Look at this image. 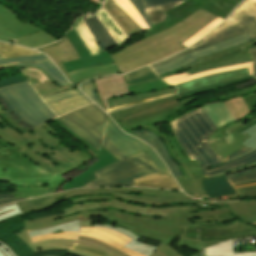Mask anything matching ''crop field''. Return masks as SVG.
<instances>
[{
    "label": "crop field",
    "instance_id": "8a807250",
    "mask_svg": "<svg viewBox=\"0 0 256 256\" xmlns=\"http://www.w3.org/2000/svg\"><path fill=\"white\" fill-rule=\"evenodd\" d=\"M102 216L105 220L128 228L142 238L202 251L227 239L256 236V228L236 220L227 206L169 214V218L139 217L112 208Z\"/></svg>",
    "mask_w": 256,
    "mask_h": 256
},
{
    "label": "crop field",
    "instance_id": "ac0d7876",
    "mask_svg": "<svg viewBox=\"0 0 256 256\" xmlns=\"http://www.w3.org/2000/svg\"><path fill=\"white\" fill-rule=\"evenodd\" d=\"M63 199L72 206L60 210L66 216L80 211L107 210L112 207L140 216L168 217V213L189 211V205L209 202L196 199H171L109 191V189H77L35 198L18 204L24 213L47 209Z\"/></svg>",
    "mask_w": 256,
    "mask_h": 256
},
{
    "label": "crop field",
    "instance_id": "34b2d1b8",
    "mask_svg": "<svg viewBox=\"0 0 256 256\" xmlns=\"http://www.w3.org/2000/svg\"><path fill=\"white\" fill-rule=\"evenodd\" d=\"M107 117L102 109L92 104L57 118L97 150L101 145L120 160L94 172L100 177L83 187L133 186V179L160 172L146 153L127 158L95 128Z\"/></svg>",
    "mask_w": 256,
    "mask_h": 256
},
{
    "label": "crop field",
    "instance_id": "412701ff",
    "mask_svg": "<svg viewBox=\"0 0 256 256\" xmlns=\"http://www.w3.org/2000/svg\"><path fill=\"white\" fill-rule=\"evenodd\" d=\"M175 139L190 161L197 160L205 179L242 171L256 166V150L235 160L223 163L248 151L246 147L220 159L209 144L207 137L217 130L201 108L175 118L170 123Z\"/></svg>",
    "mask_w": 256,
    "mask_h": 256
},
{
    "label": "crop field",
    "instance_id": "f4fd0767",
    "mask_svg": "<svg viewBox=\"0 0 256 256\" xmlns=\"http://www.w3.org/2000/svg\"><path fill=\"white\" fill-rule=\"evenodd\" d=\"M194 99L196 98L193 96L178 101L177 96L174 95L113 112L109 115L128 131L137 128H147L160 135L165 141L171 155L179 163L185 174V177L176 180L185 193L199 198L206 194L200 182V180L204 179V176L197 161L190 162L176 144L174 136L163 135L155 124L166 121L172 114Z\"/></svg>",
    "mask_w": 256,
    "mask_h": 256
},
{
    "label": "crop field",
    "instance_id": "dd49c442",
    "mask_svg": "<svg viewBox=\"0 0 256 256\" xmlns=\"http://www.w3.org/2000/svg\"><path fill=\"white\" fill-rule=\"evenodd\" d=\"M214 18L216 16L200 9L174 27L131 44L111 56L122 74L149 65L185 49L181 42Z\"/></svg>",
    "mask_w": 256,
    "mask_h": 256
},
{
    "label": "crop field",
    "instance_id": "e52e79f7",
    "mask_svg": "<svg viewBox=\"0 0 256 256\" xmlns=\"http://www.w3.org/2000/svg\"><path fill=\"white\" fill-rule=\"evenodd\" d=\"M0 104V112H3ZM48 123L39 126L33 132L23 135L8 126L0 117V138L17 146L23 147L20 153L49 171L61 175L80 166L85 160L72 153L54 136L58 135Z\"/></svg>",
    "mask_w": 256,
    "mask_h": 256
},
{
    "label": "crop field",
    "instance_id": "d8731c3e",
    "mask_svg": "<svg viewBox=\"0 0 256 256\" xmlns=\"http://www.w3.org/2000/svg\"><path fill=\"white\" fill-rule=\"evenodd\" d=\"M247 32L251 39L256 38V0H244L219 27L194 44L192 47L171 56L159 63L150 65L151 68L180 57L203 47L221 42Z\"/></svg>",
    "mask_w": 256,
    "mask_h": 256
},
{
    "label": "crop field",
    "instance_id": "5a996713",
    "mask_svg": "<svg viewBox=\"0 0 256 256\" xmlns=\"http://www.w3.org/2000/svg\"><path fill=\"white\" fill-rule=\"evenodd\" d=\"M104 213H107V211L81 212V213L73 214L66 217H64L62 214H57V215L48 216V217L39 218V219L25 220L24 223L26 228H24L22 232L15 233V235L19 239H21L23 242H25L29 246V248L33 251V253L45 251V250L65 249V250H68V253L74 254L77 256H91L86 253L70 249L74 243H77V244L89 246L97 250L103 251L105 253H108L110 254L109 256H118L94 244L78 242V241L49 240V241L32 244L27 233V231L56 226V225L72 222L77 219L80 220V227H92L90 216H93V214H104Z\"/></svg>",
    "mask_w": 256,
    "mask_h": 256
},
{
    "label": "crop field",
    "instance_id": "3316defc",
    "mask_svg": "<svg viewBox=\"0 0 256 256\" xmlns=\"http://www.w3.org/2000/svg\"><path fill=\"white\" fill-rule=\"evenodd\" d=\"M0 98L23 123L33 129L57 117L28 83L0 89Z\"/></svg>",
    "mask_w": 256,
    "mask_h": 256
},
{
    "label": "crop field",
    "instance_id": "28ad6ade",
    "mask_svg": "<svg viewBox=\"0 0 256 256\" xmlns=\"http://www.w3.org/2000/svg\"><path fill=\"white\" fill-rule=\"evenodd\" d=\"M17 14L0 5V40H13L14 43L29 48L57 41L32 23L22 22Z\"/></svg>",
    "mask_w": 256,
    "mask_h": 256
},
{
    "label": "crop field",
    "instance_id": "d1516ede",
    "mask_svg": "<svg viewBox=\"0 0 256 256\" xmlns=\"http://www.w3.org/2000/svg\"><path fill=\"white\" fill-rule=\"evenodd\" d=\"M256 123V117L249 115L248 117L235 122L231 125L223 127L208 137V143L217 154L218 157H223L241 147L240 143L247 139L249 136L240 135L247 127Z\"/></svg>",
    "mask_w": 256,
    "mask_h": 256
},
{
    "label": "crop field",
    "instance_id": "22f410ed",
    "mask_svg": "<svg viewBox=\"0 0 256 256\" xmlns=\"http://www.w3.org/2000/svg\"><path fill=\"white\" fill-rule=\"evenodd\" d=\"M97 129L128 157L146 152L155 162L161 172L171 176L165 164L158 158L150 146L123 133L110 118L108 119L107 123L97 127Z\"/></svg>",
    "mask_w": 256,
    "mask_h": 256
},
{
    "label": "crop field",
    "instance_id": "cbeb9de0",
    "mask_svg": "<svg viewBox=\"0 0 256 256\" xmlns=\"http://www.w3.org/2000/svg\"><path fill=\"white\" fill-rule=\"evenodd\" d=\"M256 44V39L251 42L244 43L234 48L206 56L198 59L199 61L189 70L190 75L204 72L211 69L232 66L244 62L251 61V57L247 47Z\"/></svg>",
    "mask_w": 256,
    "mask_h": 256
},
{
    "label": "crop field",
    "instance_id": "5142ce71",
    "mask_svg": "<svg viewBox=\"0 0 256 256\" xmlns=\"http://www.w3.org/2000/svg\"><path fill=\"white\" fill-rule=\"evenodd\" d=\"M78 235L93 237L97 240H100L106 244H109L127 253L130 256H143L141 254H138L132 250H129L123 247L127 242H129L132 239L118 232L108 230V229H102V228H80V233L63 232V233H57V234H48L40 237H34L32 238V240L33 242H37L45 239H51V238H65V239L77 240Z\"/></svg>",
    "mask_w": 256,
    "mask_h": 256
},
{
    "label": "crop field",
    "instance_id": "d9b57169",
    "mask_svg": "<svg viewBox=\"0 0 256 256\" xmlns=\"http://www.w3.org/2000/svg\"><path fill=\"white\" fill-rule=\"evenodd\" d=\"M200 8L223 19H225L229 15L208 0H186L185 3L166 12V14L170 17L168 20L151 29L153 32L145 34L143 36L146 38L148 36L166 30L177 24L178 22L182 21L186 17L190 16Z\"/></svg>",
    "mask_w": 256,
    "mask_h": 256
},
{
    "label": "crop field",
    "instance_id": "733c2abd",
    "mask_svg": "<svg viewBox=\"0 0 256 256\" xmlns=\"http://www.w3.org/2000/svg\"><path fill=\"white\" fill-rule=\"evenodd\" d=\"M247 41H251V39L247 35V33H245V34L237 36L235 38H232V39L223 41L221 43L206 47L204 49L189 53L185 56H182L180 58H177V59L167 62L165 64L159 65V66L153 68V70L155 71V73L157 75L165 74L172 70H176V69L184 67L190 63H193V62L197 61L196 59H198L200 57L231 48L233 46L239 45V44L247 42Z\"/></svg>",
    "mask_w": 256,
    "mask_h": 256
},
{
    "label": "crop field",
    "instance_id": "4a817a6b",
    "mask_svg": "<svg viewBox=\"0 0 256 256\" xmlns=\"http://www.w3.org/2000/svg\"><path fill=\"white\" fill-rule=\"evenodd\" d=\"M10 66H16L18 68L37 67L59 87L69 84L60 71L44 54L7 60H3L0 55V68Z\"/></svg>",
    "mask_w": 256,
    "mask_h": 256
},
{
    "label": "crop field",
    "instance_id": "bc2a9ffb",
    "mask_svg": "<svg viewBox=\"0 0 256 256\" xmlns=\"http://www.w3.org/2000/svg\"><path fill=\"white\" fill-rule=\"evenodd\" d=\"M67 39L70 41L78 55L81 59L63 63L64 68L66 71L82 69L88 66L94 65H103L113 63L114 60L111 58L108 52L99 54L96 56L91 57L87 49L85 48L84 44L82 43L81 39L79 38L78 34L74 30L73 26L65 35Z\"/></svg>",
    "mask_w": 256,
    "mask_h": 256
},
{
    "label": "crop field",
    "instance_id": "214f88e0",
    "mask_svg": "<svg viewBox=\"0 0 256 256\" xmlns=\"http://www.w3.org/2000/svg\"><path fill=\"white\" fill-rule=\"evenodd\" d=\"M57 115H61L92 103L77 89L42 97Z\"/></svg>",
    "mask_w": 256,
    "mask_h": 256
},
{
    "label": "crop field",
    "instance_id": "92a150f3",
    "mask_svg": "<svg viewBox=\"0 0 256 256\" xmlns=\"http://www.w3.org/2000/svg\"><path fill=\"white\" fill-rule=\"evenodd\" d=\"M93 82L104 108L110 105L108 98L130 95L123 75L106 76Z\"/></svg>",
    "mask_w": 256,
    "mask_h": 256
},
{
    "label": "crop field",
    "instance_id": "dafd665d",
    "mask_svg": "<svg viewBox=\"0 0 256 256\" xmlns=\"http://www.w3.org/2000/svg\"><path fill=\"white\" fill-rule=\"evenodd\" d=\"M131 133L153 147V149L162 158V160L165 162L175 178L184 176L178 163L172 158V156L168 152L166 145L161 137L147 129H138L135 131H131Z\"/></svg>",
    "mask_w": 256,
    "mask_h": 256
},
{
    "label": "crop field",
    "instance_id": "00972430",
    "mask_svg": "<svg viewBox=\"0 0 256 256\" xmlns=\"http://www.w3.org/2000/svg\"><path fill=\"white\" fill-rule=\"evenodd\" d=\"M21 71L41 96L74 89L72 85L59 88L36 68H22Z\"/></svg>",
    "mask_w": 256,
    "mask_h": 256
},
{
    "label": "crop field",
    "instance_id": "a9b5d70f",
    "mask_svg": "<svg viewBox=\"0 0 256 256\" xmlns=\"http://www.w3.org/2000/svg\"><path fill=\"white\" fill-rule=\"evenodd\" d=\"M97 158L99 159L98 162L94 163L91 166V168L89 170H87L86 172H84L81 175L77 176L76 178L72 179L68 183L64 184L62 186V190L65 191V190L79 188L80 186H82L98 177L95 174H93L92 172L118 161V159H116L113 155H111L109 152H107L103 148H101L100 153L97 156Z\"/></svg>",
    "mask_w": 256,
    "mask_h": 256
},
{
    "label": "crop field",
    "instance_id": "4177f3b9",
    "mask_svg": "<svg viewBox=\"0 0 256 256\" xmlns=\"http://www.w3.org/2000/svg\"><path fill=\"white\" fill-rule=\"evenodd\" d=\"M40 49L43 50L69 78L61 63L79 59V56L66 37L51 45L40 47Z\"/></svg>",
    "mask_w": 256,
    "mask_h": 256
},
{
    "label": "crop field",
    "instance_id": "730fd06b",
    "mask_svg": "<svg viewBox=\"0 0 256 256\" xmlns=\"http://www.w3.org/2000/svg\"><path fill=\"white\" fill-rule=\"evenodd\" d=\"M248 75L247 68L244 69H238V70H233L229 72H224V73H218V74H213L209 76H205L196 80L189 81L187 83L183 84H178L174 85L178 88V93L185 92L188 90H192L195 88L203 87L206 85L242 77Z\"/></svg>",
    "mask_w": 256,
    "mask_h": 256
},
{
    "label": "crop field",
    "instance_id": "eef30255",
    "mask_svg": "<svg viewBox=\"0 0 256 256\" xmlns=\"http://www.w3.org/2000/svg\"><path fill=\"white\" fill-rule=\"evenodd\" d=\"M128 38L143 33V30L118 6L114 0H106L104 6Z\"/></svg>",
    "mask_w": 256,
    "mask_h": 256
},
{
    "label": "crop field",
    "instance_id": "ae1a2a85",
    "mask_svg": "<svg viewBox=\"0 0 256 256\" xmlns=\"http://www.w3.org/2000/svg\"><path fill=\"white\" fill-rule=\"evenodd\" d=\"M82 17L88 28L95 36L103 52L108 51L110 48L117 45L112 36L108 33V31L105 29V27L102 25V23L99 21L94 13L86 14Z\"/></svg>",
    "mask_w": 256,
    "mask_h": 256
},
{
    "label": "crop field",
    "instance_id": "d3111659",
    "mask_svg": "<svg viewBox=\"0 0 256 256\" xmlns=\"http://www.w3.org/2000/svg\"><path fill=\"white\" fill-rule=\"evenodd\" d=\"M118 72H120V70L118 69L116 63H113L109 65L88 67L82 70L68 72V75L70 76L72 82L76 85L95 77Z\"/></svg>",
    "mask_w": 256,
    "mask_h": 256
},
{
    "label": "crop field",
    "instance_id": "750c4746",
    "mask_svg": "<svg viewBox=\"0 0 256 256\" xmlns=\"http://www.w3.org/2000/svg\"><path fill=\"white\" fill-rule=\"evenodd\" d=\"M209 198L236 194L235 189L227 178V175L201 181Z\"/></svg>",
    "mask_w": 256,
    "mask_h": 256
},
{
    "label": "crop field",
    "instance_id": "bd1437ed",
    "mask_svg": "<svg viewBox=\"0 0 256 256\" xmlns=\"http://www.w3.org/2000/svg\"><path fill=\"white\" fill-rule=\"evenodd\" d=\"M227 205L232 215L256 226V200L231 202Z\"/></svg>",
    "mask_w": 256,
    "mask_h": 256
},
{
    "label": "crop field",
    "instance_id": "1d83c4d3",
    "mask_svg": "<svg viewBox=\"0 0 256 256\" xmlns=\"http://www.w3.org/2000/svg\"><path fill=\"white\" fill-rule=\"evenodd\" d=\"M203 111L210 118L217 129L235 122L223 102L209 104L202 107Z\"/></svg>",
    "mask_w": 256,
    "mask_h": 256
},
{
    "label": "crop field",
    "instance_id": "120bbe31",
    "mask_svg": "<svg viewBox=\"0 0 256 256\" xmlns=\"http://www.w3.org/2000/svg\"><path fill=\"white\" fill-rule=\"evenodd\" d=\"M134 186L180 189L173 178L162 173L135 179Z\"/></svg>",
    "mask_w": 256,
    "mask_h": 256
},
{
    "label": "crop field",
    "instance_id": "d32e631a",
    "mask_svg": "<svg viewBox=\"0 0 256 256\" xmlns=\"http://www.w3.org/2000/svg\"><path fill=\"white\" fill-rule=\"evenodd\" d=\"M243 67H248L249 75L252 74V62H249V63L240 64V65H236V66H232V67H227V68H222V69H217V70H211V71H207V72L197 74V75H193V76H190L188 74V72L185 71V72L179 73L177 75L161 78V80L170 84V85H174V84L186 82L188 80L196 79V78H199V77H202V76H205V75L218 73V72H223V71H228V70L237 69V68H243Z\"/></svg>",
    "mask_w": 256,
    "mask_h": 256
},
{
    "label": "crop field",
    "instance_id": "5866460e",
    "mask_svg": "<svg viewBox=\"0 0 256 256\" xmlns=\"http://www.w3.org/2000/svg\"><path fill=\"white\" fill-rule=\"evenodd\" d=\"M73 26L90 52L91 56L99 54V52L102 51L81 17L78 18Z\"/></svg>",
    "mask_w": 256,
    "mask_h": 256
},
{
    "label": "crop field",
    "instance_id": "028f5c9d",
    "mask_svg": "<svg viewBox=\"0 0 256 256\" xmlns=\"http://www.w3.org/2000/svg\"><path fill=\"white\" fill-rule=\"evenodd\" d=\"M94 227H103V228H108V229H112L118 232H121L127 236H129L130 238H132L133 240L130 241L129 243H127L125 245V247L132 249L138 253H141L145 256H150L152 253L155 252L156 248L155 246H151V245H147V244H143V243H139L137 242L138 239L140 237H137L136 235L132 234L131 232H129L127 229L124 228H114V227H110V226H104V225H94Z\"/></svg>",
    "mask_w": 256,
    "mask_h": 256
},
{
    "label": "crop field",
    "instance_id": "e1f06a70",
    "mask_svg": "<svg viewBox=\"0 0 256 256\" xmlns=\"http://www.w3.org/2000/svg\"><path fill=\"white\" fill-rule=\"evenodd\" d=\"M17 203L0 206V221L22 214ZM0 256H17L6 244L0 242Z\"/></svg>",
    "mask_w": 256,
    "mask_h": 256
},
{
    "label": "crop field",
    "instance_id": "0bd39190",
    "mask_svg": "<svg viewBox=\"0 0 256 256\" xmlns=\"http://www.w3.org/2000/svg\"><path fill=\"white\" fill-rule=\"evenodd\" d=\"M96 16L100 19L109 33L116 40L117 44L124 42L125 39H128L121 29L116 25L112 18L108 15L104 8L95 13ZM114 40V41H115Z\"/></svg>",
    "mask_w": 256,
    "mask_h": 256
},
{
    "label": "crop field",
    "instance_id": "b80d0937",
    "mask_svg": "<svg viewBox=\"0 0 256 256\" xmlns=\"http://www.w3.org/2000/svg\"><path fill=\"white\" fill-rule=\"evenodd\" d=\"M176 92V88H171V89H166V90H160V91H155V92H150V93H144V94H139V95H133V96H127V97H120V98H112L109 99L111 103V107L139 101V100H144L160 95H165L169 93H174ZM109 109V108H108Z\"/></svg>",
    "mask_w": 256,
    "mask_h": 256
},
{
    "label": "crop field",
    "instance_id": "c035e120",
    "mask_svg": "<svg viewBox=\"0 0 256 256\" xmlns=\"http://www.w3.org/2000/svg\"><path fill=\"white\" fill-rule=\"evenodd\" d=\"M204 256H256V252L234 254L233 241H227L207 248Z\"/></svg>",
    "mask_w": 256,
    "mask_h": 256
},
{
    "label": "crop field",
    "instance_id": "c21b1889",
    "mask_svg": "<svg viewBox=\"0 0 256 256\" xmlns=\"http://www.w3.org/2000/svg\"><path fill=\"white\" fill-rule=\"evenodd\" d=\"M110 190L139 193V194H145V195L164 196V197H171V198H190V197H187L183 192H179V191L136 189V188H121V189H110Z\"/></svg>",
    "mask_w": 256,
    "mask_h": 256
},
{
    "label": "crop field",
    "instance_id": "03da06ac",
    "mask_svg": "<svg viewBox=\"0 0 256 256\" xmlns=\"http://www.w3.org/2000/svg\"><path fill=\"white\" fill-rule=\"evenodd\" d=\"M185 2L183 1H179V2H175L169 5H165V6H161V7H156V8H151V9H146L147 11V15H148V19L149 22L153 27L157 26L158 24H160L161 22L165 21L167 18H169L164 12Z\"/></svg>",
    "mask_w": 256,
    "mask_h": 256
},
{
    "label": "crop field",
    "instance_id": "b54c1fbb",
    "mask_svg": "<svg viewBox=\"0 0 256 256\" xmlns=\"http://www.w3.org/2000/svg\"><path fill=\"white\" fill-rule=\"evenodd\" d=\"M124 77L127 81L128 86L158 80V77H156L155 74L148 67L124 75Z\"/></svg>",
    "mask_w": 256,
    "mask_h": 256
},
{
    "label": "crop field",
    "instance_id": "5d738f31",
    "mask_svg": "<svg viewBox=\"0 0 256 256\" xmlns=\"http://www.w3.org/2000/svg\"><path fill=\"white\" fill-rule=\"evenodd\" d=\"M0 54L2 55L3 59H7V58L40 54V53L32 51L30 49L17 47L10 44L0 43Z\"/></svg>",
    "mask_w": 256,
    "mask_h": 256
},
{
    "label": "crop field",
    "instance_id": "d23c7cc5",
    "mask_svg": "<svg viewBox=\"0 0 256 256\" xmlns=\"http://www.w3.org/2000/svg\"><path fill=\"white\" fill-rule=\"evenodd\" d=\"M231 114L237 120L251 114L243 100V98H235L233 100L224 101Z\"/></svg>",
    "mask_w": 256,
    "mask_h": 256
},
{
    "label": "crop field",
    "instance_id": "425ffa30",
    "mask_svg": "<svg viewBox=\"0 0 256 256\" xmlns=\"http://www.w3.org/2000/svg\"><path fill=\"white\" fill-rule=\"evenodd\" d=\"M249 79H252V75L242 77V78H238V79H234V80H230V81H226V82H222V83H218V84H214V85H210V86H206V87L199 88V89H196V90L188 91V92H185V93H182V94H178L177 96H178V99L180 100V99L188 97V96H193V95H196V94H199V93L207 92V91L212 90V89L229 86V85H232L234 83H238V82L249 80Z\"/></svg>",
    "mask_w": 256,
    "mask_h": 256
},
{
    "label": "crop field",
    "instance_id": "25e5ab78",
    "mask_svg": "<svg viewBox=\"0 0 256 256\" xmlns=\"http://www.w3.org/2000/svg\"><path fill=\"white\" fill-rule=\"evenodd\" d=\"M120 7L146 32L149 29L147 23L141 17V15L136 11V9L131 5L128 0H115Z\"/></svg>",
    "mask_w": 256,
    "mask_h": 256
},
{
    "label": "crop field",
    "instance_id": "73cf0c24",
    "mask_svg": "<svg viewBox=\"0 0 256 256\" xmlns=\"http://www.w3.org/2000/svg\"><path fill=\"white\" fill-rule=\"evenodd\" d=\"M171 87L172 86L166 85L165 83L161 82V80H158V81L130 86L128 88H129L130 94L133 95V94L150 92V91L166 89Z\"/></svg>",
    "mask_w": 256,
    "mask_h": 256
},
{
    "label": "crop field",
    "instance_id": "89e229c0",
    "mask_svg": "<svg viewBox=\"0 0 256 256\" xmlns=\"http://www.w3.org/2000/svg\"><path fill=\"white\" fill-rule=\"evenodd\" d=\"M57 230H63V231H79V220L72 222V223H68V224H64V225H60V226H56V227H51V228H46V229H41V230H37V231H32V232H28L30 237H34V236H40V235H44V234H48V233H53Z\"/></svg>",
    "mask_w": 256,
    "mask_h": 256
},
{
    "label": "crop field",
    "instance_id": "1f2cbd36",
    "mask_svg": "<svg viewBox=\"0 0 256 256\" xmlns=\"http://www.w3.org/2000/svg\"><path fill=\"white\" fill-rule=\"evenodd\" d=\"M223 19L217 17L215 20H213L211 23H209L207 26H205L203 29H201L199 32H197L193 37H191L189 40L183 42L182 44L187 48L197 40H199L201 37H203L206 33H208L210 30H212L214 27H216L218 24H220Z\"/></svg>",
    "mask_w": 256,
    "mask_h": 256
},
{
    "label": "crop field",
    "instance_id": "dbb93151",
    "mask_svg": "<svg viewBox=\"0 0 256 256\" xmlns=\"http://www.w3.org/2000/svg\"><path fill=\"white\" fill-rule=\"evenodd\" d=\"M151 256H183L180 254L176 249H174L172 246L160 244V246L157 248L156 252ZM190 256H202V252L195 253Z\"/></svg>",
    "mask_w": 256,
    "mask_h": 256
},
{
    "label": "crop field",
    "instance_id": "0fb4a251",
    "mask_svg": "<svg viewBox=\"0 0 256 256\" xmlns=\"http://www.w3.org/2000/svg\"><path fill=\"white\" fill-rule=\"evenodd\" d=\"M80 89L86 94L88 95L97 105H99L101 108H103V106L101 105L94 84L92 81H88L85 82L83 84L80 85ZM104 109V108H103Z\"/></svg>",
    "mask_w": 256,
    "mask_h": 256
},
{
    "label": "crop field",
    "instance_id": "1d79db26",
    "mask_svg": "<svg viewBox=\"0 0 256 256\" xmlns=\"http://www.w3.org/2000/svg\"><path fill=\"white\" fill-rule=\"evenodd\" d=\"M248 134L250 135L251 137L248 138L246 141H244L243 145H245L246 147L250 148V149H254L256 148V124L247 128L246 130H244L242 133L240 134Z\"/></svg>",
    "mask_w": 256,
    "mask_h": 256
},
{
    "label": "crop field",
    "instance_id": "9d1cf04e",
    "mask_svg": "<svg viewBox=\"0 0 256 256\" xmlns=\"http://www.w3.org/2000/svg\"><path fill=\"white\" fill-rule=\"evenodd\" d=\"M221 9L226 11L227 13H231L234 7L241 1V0H210Z\"/></svg>",
    "mask_w": 256,
    "mask_h": 256
},
{
    "label": "crop field",
    "instance_id": "447ae74e",
    "mask_svg": "<svg viewBox=\"0 0 256 256\" xmlns=\"http://www.w3.org/2000/svg\"><path fill=\"white\" fill-rule=\"evenodd\" d=\"M59 127L64 129L66 132H68L70 135H72L74 138H76L78 141L83 143L85 146H87L89 149L87 150L91 155L94 157L97 155L99 151H97L95 148H93L91 145H89L87 142L82 140L80 137H78L76 134H74L72 131H70L68 128H66L62 123H60L58 120H53Z\"/></svg>",
    "mask_w": 256,
    "mask_h": 256
},
{
    "label": "crop field",
    "instance_id": "0765c3eb",
    "mask_svg": "<svg viewBox=\"0 0 256 256\" xmlns=\"http://www.w3.org/2000/svg\"><path fill=\"white\" fill-rule=\"evenodd\" d=\"M228 178L232 183L256 179V169L243 174L232 175Z\"/></svg>",
    "mask_w": 256,
    "mask_h": 256
},
{
    "label": "crop field",
    "instance_id": "db79e9e6",
    "mask_svg": "<svg viewBox=\"0 0 256 256\" xmlns=\"http://www.w3.org/2000/svg\"><path fill=\"white\" fill-rule=\"evenodd\" d=\"M26 81L27 80L24 78V76L22 74L8 77V78L0 80V88L18 84V83H22V82H26Z\"/></svg>",
    "mask_w": 256,
    "mask_h": 256
},
{
    "label": "crop field",
    "instance_id": "7b73153f",
    "mask_svg": "<svg viewBox=\"0 0 256 256\" xmlns=\"http://www.w3.org/2000/svg\"><path fill=\"white\" fill-rule=\"evenodd\" d=\"M240 198L256 197V185L236 189Z\"/></svg>",
    "mask_w": 256,
    "mask_h": 256
},
{
    "label": "crop field",
    "instance_id": "78b8030e",
    "mask_svg": "<svg viewBox=\"0 0 256 256\" xmlns=\"http://www.w3.org/2000/svg\"><path fill=\"white\" fill-rule=\"evenodd\" d=\"M78 240H82V241H86V242L95 243V244H98V245H100V246H103V247H105V248H107V249H109V250H111V251H113V252H115V253H117V254H119V255H121V256H128L127 254H125V253H123V252H121V251H119V250H117V249H115V248H113V247H111V246H109V245H106V244L101 243V242H99V241H97V240H94V239H92V238H86V237H81V236H79Z\"/></svg>",
    "mask_w": 256,
    "mask_h": 256
},
{
    "label": "crop field",
    "instance_id": "0f1d7ab4",
    "mask_svg": "<svg viewBox=\"0 0 256 256\" xmlns=\"http://www.w3.org/2000/svg\"><path fill=\"white\" fill-rule=\"evenodd\" d=\"M129 1L137 9V11L143 16V18L146 20V22L148 23V25L151 29V26H150V24L147 20V16H146L144 0H129Z\"/></svg>",
    "mask_w": 256,
    "mask_h": 256
},
{
    "label": "crop field",
    "instance_id": "e1d0b9f6",
    "mask_svg": "<svg viewBox=\"0 0 256 256\" xmlns=\"http://www.w3.org/2000/svg\"><path fill=\"white\" fill-rule=\"evenodd\" d=\"M72 248L76 249V250L86 252V253L91 254L93 256H107L108 255V254L102 253L100 251L94 250L92 248H88V247H84V246H80V245H76V244H74Z\"/></svg>",
    "mask_w": 256,
    "mask_h": 256
},
{
    "label": "crop field",
    "instance_id": "ae633e8c",
    "mask_svg": "<svg viewBox=\"0 0 256 256\" xmlns=\"http://www.w3.org/2000/svg\"><path fill=\"white\" fill-rule=\"evenodd\" d=\"M252 90H256V85L251 86V87H248V88L243 89V90H240V91L232 92V93L227 94V95L220 96V97H218V98H221V99H229V98H231V97H235V96H239V95L248 93L249 91H252Z\"/></svg>",
    "mask_w": 256,
    "mask_h": 256
},
{
    "label": "crop field",
    "instance_id": "d14b1444",
    "mask_svg": "<svg viewBox=\"0 0 256 256\" xmlns=\"http://www.w3.org/2000/svg\"><path fill=\"white\" fill-rule=\"evenodd\" d=\"M175 1L179 0H145L147 8L161 6Z\"/></svg>",
    "mask_w": 256,
    "mask_h": 256
},
{
    "label": "crop field",
    "instance_id": "c39391a2",
    "mask_svg": "<svg viewBox=\"0 0 256 256\" xmlns=\"http://www.w3.org/2000/svg\"><path fill=\"white\" fill-rule=\"evenodd\" d=\"M250 111H253L256 106V94H253L249 97L244 98Z\"/></svg>",
    "mask_w": 256,
    "mask_h": 256
},
{
    "label": "crop field",
    "instance_id": "ade564c9",
    "mask_svg": "<svg viewBox=\"0 0 256 256\" xmlns=\"http://www.w3.org/2000/svg\"><path fill=\"white\" fill-rule=\"evenodd\" d=\"M253 61V77L256 79V47L248 49Z\"/></svg>",
    "mask_w": 256,
    "mask_h": 256
},
{
    "label": "crop field",
    "instance_id": "c5b07064",
    "mask_svg": "<svg viewBox=\"0 0 256 256\" xmlns=\"http://www.w3.org/2000/svg\"><path fill=\"white\" fill-rule=\"evenodd\" d=\"M174 94H175V93H174ZM170 95H172V94H170ZM166 96H169V95H165V96H161V97H157V98H152V99L145 100V101H140V102H136V103H132V104H128V105H124V106H120V107L112 108V109H110V110H106V111H107V112L115 111V110H119V109H122V108H125V107H129V106L135 105V104H139V103H143V102H147V101H151V100L159 99V98L166 97Z\"/></svg>",
    "mask_w": 256,
    "mask_h": 256
},
{
    "label": "crop field",
    "instance_id": "c3a83c6f",
    "mask_svg": "<svg viewBox=\"0 0 256 256\" xmlns=\"http://www.w3.org/2000/svg\"><path fill=\"white\" fill-rule=\"evenodd\" d=\"M77 155L81 156L83 159H85L86 161H89L93 158H91L87 153H84L82 151H74Z\"/></svg>",
    "mask_w": 256,
    "mask_h": 256
},
{
    "label": "crop field",
    "instance_id": "fb207236",
    "mask_svg": "<svg viewBox=\"0 0 256 256\" xmlns=\"http://www.w3.org/2000/svg\"><path fill=\"white\" fill-rule=\"evenodd\" d=\"M6 198H14L13 194H1L0 193V199H6Z\"/></svg>",
    "mask_w": 256,
    "mask_h": 256
},
{
    "label": "crop field",
    "instance_id": "7312dd0a",
    "mask_svg": "<svg viewBox=\"0 0 256 256\" xmlns=\"http://www.w3.org/2000/svg\"><path fill=\"white\" fill-rule=\"evenodd\" d=\"M21 200H24V199H21ZM17 201H20V200L0 201V204L13 203V202H17Z\"/></svg>",
    "mask_w": 256,
    "mask_h": 256
},
{
    "label": "crop field",
    "instance_id": "180be81f",
    "mask_svg": "<svg viewBox=\"0 0 256 256\" xmlns=\"http://www.w3.org/2000/svg\"><path fill=\"white\" fill-rule=\"evenodd\" d=\"M253 182H256L255 181H249V182H243V183H237V184H233L234 186H237V185H244V184H248V183H253Z\"/></svg>",
    "mask_w": 256,
    "mask_h": 256
},
{
    "label": "crop field",
    "instance_id": "f0312440",
    "mask_svg": "<svg viewBox=\"0 0 256 256\" xmlns=\"http://www.w3.org/2000/svg\"><path fill=\"white\" fill-rule=\"evenodd\" d=\"M0 149H1L2 151H4V152L7 150V148H5V147H3V146H1V145H0Z\"/></svg>",
    "mask_w": 256,
    "mask_h": 256
},
{
    "label": "crop field",
    "instance_id": "1f1604b0",
    "mask_svg": "<svg viewBox=\"0 0 256 256\" xmlns=\"http://www.w3.org/2000/svg\"><path fill=\"white\" fill-rule=\"evenodd\" d=\"M254 184H256V183H254ZM248 185H253V184H248ZM248 185H244V186H248ZM238 187H243V186H238ZM238 187H235V188H238Z\"/></svg>",
    "mask_w": 256,
    "mask_h": 256
}]
</instances>
